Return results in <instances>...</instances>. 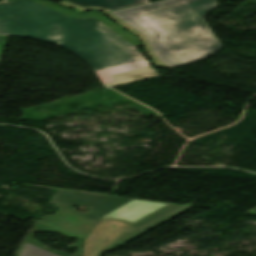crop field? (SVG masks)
Here are the masks:
<instances>
[{
  "label": "crop field",
  "mask_w": 256,
  "mask_h": 256,
  "mask_svg": "<svg viewBox=\"0 0 256 256\" xmlns=\"http://www.w3.org/2000/svg\"><path fill=\"white\" fill-rule=\"evenodd\" d=\"M0 35L29 37L62 46L84 60L105 88L158 75L138 48L94 16L69 17L29 0L0 3Z\"/></svg>",
  "instance_id": "crop-field-1"
},
{
  "label": "crop field",
  "mask_w": 256,
  "mask_h": 256,
  "mask_svg": "<svg viewBox=\"0 0 256 256\" xmlns=\"http://www.w3.org/2000/svg\"><path fill=\"white\" fill-rule=\"evenodd\" d=\"M217 6L216 0H163L106 15L137 34L156 65L174 67L221 49L204 20Z\"/></svg>",
  "instance_id": "crop-field-2"
},
{
  "label": "crop field",
  "mask_w": 256,
  "mask_h": 256,
  "mask_svg": "<svg viewBox=\"0 0 256 256\" xmlns=\"http://www.w3.org/2000/svg\"><path fill=\"white\" fill-rule=\"evenodd\" d=\"M34 1L42 3V4L46 5V6L51 7V8L57 9V10L65 13V14H67L69 16L86 17V16L94 15L100 21H102L104 24H106L108 27H110L112 30H114L116 33H118L121 37H123L125 40H127L131 44L135 45L136 47H138L139 44H140V41L137 38H135L130 33L126 32L122 27H120L119 25H117L116 23H114L113 21L109 20L108 18H106L105 16H103L102 14H100L98 12H88V13H84V14H77V13H75L73 11H70V10H67V9H63V8L53 4V3L45 1V0H34Z\"/></svg>",
  "instance_id": "crop-field-6"
},
{
  "label": "crop field",
  "mask_w": 256,
  "mask_h": 256,
  "mask_svg": "<svg viewBox=\"0 0 256 256\" xmlns=\"http://www.w3.org/2000/svg\"><path fill=\"white\" fill-rule=\"evenodd\" d=\"M52 204L59 210L34 225L20 247L18 256H69L63 252H54L35 240L32 233L38 231L79 238L77 244L68 248H77V256H84L88 239L105 219H120L133 225L169 205L63 190L58 191ZM75 205L86 206L94 212L80 214L73 209Z\"/></svg>",
  "instance_id": "crop-field-3"
},
{
  "label": "crop field",
  "mask_w": 256,
  "mask_h": 256,
  "mask_svg": "<svg viewBox=\"0 0 256 256\" xmlns=\"http://www.w3.org/2000/svg\"><path fill=\"white\" fill-rule=\"evenodd\" d=\"M191 207L172 205L136 226L107 220L90 239L87 256H99L101 252L125 244Z\"/></svg>",
  "instance_id": "crop-field-4"
},
{
  "label": "crop field",
  "mask_w": 256,
  "mask_h": 256,
  "mask_svg": "<svg viewBox=\"0 0 256 256\" xmlns=\"http://www.w3.org/2000/svg\"><path fill=\"white\" fill-rule=\"evenodd\" d=\"M144 3H146L145 0H65L61 4L74 8L76 11L99 9L106 13Z\"/></svg>",
  "instance_id": "crop-field-5"
}]
</instances>
